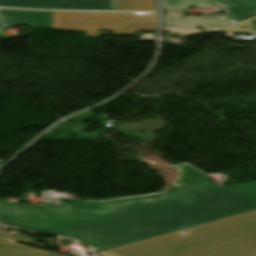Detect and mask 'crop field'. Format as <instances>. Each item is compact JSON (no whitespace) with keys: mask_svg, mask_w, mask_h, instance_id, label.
Segmentation results:
<instances>
[{"mask_svg":"<svg viewBox=\"0 0 256 256\" xmlns=\"http://www.w3.org/2000/svg\"><path fill=\"white\" fill-rule=\"evenodd\" d=\"M165 10L221 5L230 19L238 21L256 17V0H162Z\"/></svg>","mask_w":256,"mask_h":256,"instance_id":"4","label":"crop field"},{"mask_svg":"<svg viewBox=\"0 0 256 256\" xmlns=\"http://www.w3.org/2000/svg\"><path fill=\"white\" fill-rule=\"evenodd\" d=\"M227 25L229 22L225 15L185 17L183 12L164 13V26L169 27L199 29Z\"/></svg>","mask_w":256,"mask_h":256,"instance_id":"7","label":"crop field"},{"mask_svg":"<svg viewBox=\"0 0 256 256\" xmlns=\"http://www.w3.org/2000/svg\"><path fill=\"white\" fill-rule=\"evenodd\" d=\"M0 16L6 28L22 25L31 27L24 35L10 36L2 32L4 29L0 23V39H6L25 37L32 33L34 27L51 29L53 12L0 9Z\"/></svg>","mask_w":256,"mask_h":256,"instance_id":"6","label":"crop field"},{"mask_svg":"<svg viewBox=\"0 0 256 256\" xmlns=\"http://www.w3.org/2000/svg\"><path fill=\"white\" fill-rule=\"evenodd\" d=\"M52 29L87 32L99 38L101 30L115 35H136V31H157V14L55 12Z\"/></svg>","mask_w":256,"mask_h":256,"instance_id":"3","label":"crop field"},{"mask_svg":"<svg viewBox=\"0 0 256 256\" xmlns=\"http://www.w3.org/2000/svg\"><path fill=\"white\" fill-rule=\"evenodd\" d=\"M0 237L11 239V240H14L16 242L19 241V242H23V243H28V244H32V245L46 247L45 244L30 241L31 238L29 236L18 234V233H13V232L0 230Z\"/></svg>","mask_w":256,"mask_h":256,"instance_id":"9","label":"crop field"},{"mask_svg":"<svg viewBox=\"0 0 256 256\" xmlns=\"http://www.w3.org/2000/svg\"><path fill=\"white\" fill-rule=\"evenodd\" d=\"M50 252L39 251L0 239V256H50Z\"/></svg>","mask_w":256,"mask_h":256,"instance_id":"8","label":"crop field"},{"mask_svg":"<svg viewBox=\"0 0 256 256\" xmlns=\"http://www.w3.org/2000/svg\"><path fill=\"white\" fill-rule=\"evenodd\" d=\"M115 249L110 256H256V211Z\"/></svg>","mask_w":256,"mask_h":256,"instance_id":"2","label":"crop field"},{"mask_svg":"<svg viewBox=\"0 0 256 256\" xmlns=\"http://www.w3.org/2000/svg\"><path fill=\"white\" fill-rule=\"evenodd\" d=\"M176 192L54 206L1 205L0 224L72 238L100 251L256 210L237 185H218L200 171L176 167Z\"/></svg>","mask_w":256,"mask_h":256,"instance_id":"1","label":"crop field"},{"mask_svg":"<svg viewBox=\"0 0 256 256\" xmlns=\"http://www.w3.org/2000/svg\"><path fill=\"white\" fill-rule=\"evenodd\" d=\"M238 186H240L254 201H256V181L248 184H240Z\"/></svg>","mask_w":256,"mask_h":256,"instance_id":"10","label":"crop field"},{"mask_svg":"<svg viewBox=\"0 0 256 256\" xmlns=\"http://www.w3.org/2000/svg\"><path fill=\"white\" fill-rule=\"evenodd\" d=\"M51 256H62V255H56V254H52Z\"/></svg>","mask_w":256,"mask_h":256,"instance_id":"11","label":"crop field"},{"mask_svg":"<svg viewBox=\"0 0 256 256\" xmlns=\"http://www.w3.org/2000/svg\"><path fill=\"white\" fill-rule=\"evenodd\" d=\"M0 7L117 11L115 0H0Z\"/></svg>","mask_w":256,"mask_h":256,"instance_id":"5","label":"crop field"}]
</instances>
